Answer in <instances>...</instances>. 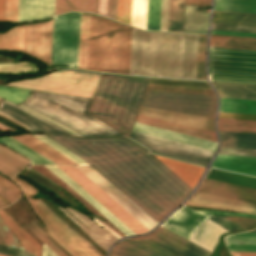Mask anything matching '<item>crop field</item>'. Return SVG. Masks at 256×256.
<instances>
[{
  "label": "crop field",
  "instance_id": "crop-field-44",
  "mask_svg": "<svg viewBox=\"0 0 256 256\" xmlns=\"http://www.w3.org/2000/svg\"><path fill=\"white\" fill-rule=\"evenodd\" d=\"M89 14L81 13L78 68L85 69Z\"/></svg>",
  "mask_w": 256,
  "mask_h": 256
},
{
  "label": "crop field",
  "instance_id": "crop-field-21",
  "mask_svg": "<svg viewBox=\"0 0 256 256\" xmlns=\"http://www.w3.org/2000/svg\"><path fill=\"white\" fill-rule=\"evenodd\" d=\"M66 208V207H65ZM68 209L75 217H77L81 222H83L87 227H89L92 231H90L87 227H85L82 223L72 217L70 214L65 212L63 209L59 208V210L66 215L71 221H73L77 226L83 229L104 251L114 243L116 239L114 236L109 234L107 231L102 229L100 226L95 224L93 221L88 219L86 216L70 209Z\"/></svg>",
  "mask_w": 256,
  "mask_h": 256
},
{
  "label": "crop field",
  "instance_id": "crop-field-71",
  "mask_svg": "<svg viewBox=\"0 0 256 256\" xmlns=\"http://www.w3.org/2000/svg\"><path fill=\"white\" fill-rule=\"evenodd\" d=\"M186 4L210 6V0H186Z\"/></svg>",
  "mask_w": 256,
  "mask_h": 256
},
{
  "label": "crop field",
  "instance_id": "crop-field-78",
  "mask_svg": "<svg viewBox=\"0 0 256 256\" xmlns=\"http://www.w3.org/2000/svg\"><path fill=\"white\" fill-rule=\"evenodd\" d=\"M250 231H255L256 232V229H253V230H250Z\"/></svg>",
  "mask_w": 256,
  "mask_h": 256
},
{
  "label": "crop field",
  "instance_id": "crop-field-34",
  "mask_svg": "<svg viewBox=\"0 0 256 256\" xmlns=\"http://www.w3.org/2000/svg\"><path fill=\"white\" fill-rule=\"evenodd\" d=\"M218 133L221 146L256 148V134Z\"/></svg>",
  "mask_w": 256,
  "mask_h": 256
},
{
  "label": "crop field",
  "instance_id": "crop-field-68",
  "mask_svg": "<svg viewBox=\"0 0 256 256\" xmlns=\"http://www.w3.org/2000/svg\"><path fill=\"white\" fill-rule=\"evenodd\" d=\"M210 34L256 37V34L254 33L229 32V31H217V30H211Z\"/></svg>",
  "mask_w": 256,
  "mask_h": 256
},
{
  "label": "crop field",
  "instance_id": "crop-field-77",
  "mask_svg": "<svg viewBox=\"0 0 256 256\" xmlns=\"http://www.w3.org/2000/svg\"><path fill=\"white\" fill-rule=\"evenodd\" d=\"M6 206V204H4L1 200H0V207H4Z\"/></svg>",
  "mask_w": 256,
  "mask_h": 256
},
{
  "label": "crop field",
  "instance_id": "crop-field-58",
  "mask_svg": "<svg viewBox=\"0 0 256 256\" xmlns=\"http://www.w3.org/2000/svg\"><path fill=\"white\" fill-rule=\"evenodd\" d=\"M211 29L242 31V32H255L256 33V26H243V25L212 23Z\"/></svg>",
  "mask_w": 256,
  "mask_h": 256
},
{
  "label": "crop field",
  "instance_id": "crop-field-47",
  "mask_svg": "<svg viewBox=\"0 0 256 256\" xmlns=\"http://www.w3.org/2000/svg\"><path fill=\"white\" fill-rule=\"evenodd\" d=\"M148 85L210 89L207 82L151 79Z\"/></svg>",
  "mask_w": 256,
  "mask_h": 256
},
{
  "label": "crop field",
  "instance_id": "crop-field-63",
  "mask_svg": "<svg viewBox=\"0 0 256 256\" xmlns=\"http://www.w3.org/2000/svg\"><path fill=\"white\" fill-rule=\"evenodd\" d=\"M225 217L242 228L251 227L256 224V219H247V218L229 217V216H225Z\"/></svg>",
  "mask_w": 256,
  "mask_h": 256
},
{
  "label": "crop field",
  "instance_id": "crop-field-67",
  "mask_svg": "<svg viewBox=\"0 0 256 256\" xmlns=\"http://www.w3.org/2000/svg\"><path fill=\"white\" fill-rule=\"evenodd\" d=\"M218 117L241 118V119H256V115L237 114V113H225V112H219Z\"/></svg>",
  "mask_w": 256,
  "mask_h": 256
},
{
  "label": "crop field",
  "instance_id": "crop-field-39",
  "mask_svg": "<svg viewBox=\"0 0 256 256\" xmlns=\"http://www.w3.org/2000/svg\"><path fill=\"white\" fill-rule=\"evenodd\" d=\"M96 0H56L55 15L70 10L90 11L95 13Z\"/></svg>",
  "mask_w": 256,
  "mask_h": 256
},
{
  "label": "crop field",
  "instance_id": "crop-field-74",
  "mask_svg": "<svg viewBox=\"0 0 256 256\" xmlns=\"http://www.w3.org/2000/svg\"><path fill=\"white\" fill-rule=\"evenodd\" d=\"M93 220L95 221V222H97L99 225H101L103 228H105L107 231H109L111 234H113L115 237H117L118 239L119 238H121V237H119L118 235H116L115 233H113L112 231H110L106 226H104L100 221H98V220H96V219H94L93 218Z\"/></svg>",
  "mask_w": 256,
  "mask_h": 256
},
{
  "label": "crop field",
  "instance_id": "crop-field-11",
  "mask_svg": "<svg viewBox=\"0 0 256 256\" xmlns=\"http://www.w3.org/2000/svg\"><path fill=\"white\" fill-rule=\"evenodd\" d=\"M127 240L146 248L160 256H210L211 252L187 241L185 238L163 228L144 237Z\"/></svg>",
  "mask_w": 256,
  "mask_h": 256
},
{
  "label": "crop field",
  "instance_id": "crop-field-31",
  "mask_svg": "<svg viewBox=\"0 0 256 256\" xmlns=\"http://www.w3.org/2000/svg\"><path fill=\"white\" fill-rule=\"evenodd\" d=\"M34 170L42 174L44 177L52 181L53 183L59 185L60 187L64 188L66 191H68L72 196H74L77 200H79L85 207L88 209L91 213L97 214L101 217H103L101 214H99L93 207H91L86 201H84L78 194H76L70 187H68L64 182H62L60 179H58L55 175H53L50 171H48L43 166H37L32 165L31 166ZM104 218V217H103ZM105 219V218H104ZM106 220V219H105ZM102 221V220H100ZM108 224H106L104 221H102L110 230L118 234L119 236H125L122 234L116 227H114L108 220H106Z\"/></svg>",
  "mask_w": 256,
  "mask_h": 256
},
{
  "label": "crop field",
  "instance_id": "crop-field-13",
  "mask_svg": "<svg viewBox=\"0 0 256 256\" xmlns=\"http://www.w3.org/2000/svg\"><path fill=\"white\" fill-rule=\"evenodd\" d=\"M136 234L149 231L74 166H57Z\"/></svg>",
  "mask_w": 256,
  "mask_h": 256
},
{
  "label": "crop field",
  "instance_id": "crop-field-64",
  "mask_svg": "<svg viewBox=\"0 0 256 256\" xmlns=\"http://www.w3.org/2000/svg\"><path fill=\"white\" fill-rule=\"evenodd\" d=\"M0 184L5 186L7 189H9L11 192H13L18 197L21 195L20 188L16 186L14 183H12L10 180L2 177L0 175Z\"/></svg>",
  "mask_w": 256,
  "mask_h": 256
},
{
  "label": "crop field",
  "instance_id": "crop-field-3",
  "mask_svg": "<svg viewBox=\"0 0 256 256\" xmlns=\"http://www.w3.org/2000/svg\"><path fill=\"white\" fill-rule=\"evenodd\" d=\"M148 80L103 74L89 113L127 136Z\"/></svg>",
  "mask_w": 256,
  "mask_h": 256
},
{
  "label": "crop field",
  "instance_id": "crop-field-25",
  "mask_svg": "<svg viewBox=\"0 0 256 256\" xmlns=\"http://www.w3.org/2000/svg\"><path fill=\"white\" fill-rule=\"evenodd\" d=\"M135 121L160 127V128H164V129H168V130H172V131H176V132H180V133H184V134H188V135H192V136H196V137H200V138H204V139H208V140H212V141H216L215 134L212 132H208V131H204V130H200V129H196V128H192V127H188V126H184V125H180V124H176V123H172V122H168V121H164V120H160V119H156V118H152V117H148L140 114L137 115V118Z\"/></svg>",
  "mask_w": 256,
  "mask_h": 256
},
{
  "label": "crop field",
  "instance_id": "crop-field-29",
  "mask_svg": "<svg viewBox=\"0 0 256 256\" xmlns=\"http://www.w3.org/2000/svg\"><path fill=\"white\" fill-rule=\"evenodd\" d=\"M219 97L256 100V86L211 82Z\"/></svg>",
  "mask_w": 256,
  "mask_h": 256
},
{
  "label": "crop field",
  "instance_id": "crop-field-79",
  "mask_svg": "<svg viewBox=\"0 0 256 256\" xmlns=\"http://www.w3.org/2000/svg\"><path fill=\"white\" fill-rule=\"evenodd\" d=\"M0 256H4V255H1V254H0Z\"/></svg>",
  "mask_w": 256,
  "mask_h": 256
},
{
  "label": "crop field",
  "instance_id": "crop-field-73",
  "mask_svg": "<svg viewBox=\"0 0 256 256\" xmlns=\"http://www.w3.org/2000/svg\"><path fill=\"white\" fill-rule=\"evenodd\" d=\"M234 256H256V253L232 252Z\"/></svg>",
  "mask_w": 256,
  "mask_h": 256
},
{
  "label": "crop field",
  "instance_id": "crop-field-33",
  "mask_svg": "<svg viewBox=\"0 0 256 256\" xmlns=\"http://www.w3.org/2000/svg\"><path fill=\"white\" fill-rule=\"evenodd\" d=\"M209 46L256 49V39L210 35Z\"/></svg>",
  "mask_w": 256,
  "mask_h": 256
},
{
  "label": "crop field",
  "instance_id": "crop-field-23",
  "mask_svg": "<svg viewBox=\"0 0 256 256\" xmlns=\"http://www.w3.org/2000/svg\"><path fill=\"white\" fill-rule=\"evenodd\" d=\"M55 0H19L18 21L54 15Z\"/></svg>",
  "mask_w": 256,
  "mask_h": 256
},
{
  "label": "crop field",
  "instance_id": "crop-field-70",
  "mask_svg": "<svg viewBox=\"0 0 256 256\" xmlns=\"http://www.w3.org/2000/svg\"><path fill=\"white\" fill-rule=\"evenodd\" d=\"M19 105L22 106V107H24V106L21 105V104H19ZM24 108H26V107H24ZM26 109L29 110V111H31V110L28 109V108H26ZM31 112H33V111H31ZM33 113H35V112H33ZM35 114H37L38 116H40V117L46 119L47 121H49V122H51V123L57 125L58 127L64 129L65 131L69 132L71 135L81 136V135L77 134L76 132L72 131L71 129H69V128H67V127H65V126H63V125H61V124H59V123H57V122H55V121H53V120L47 118V117H44V116H42V115H40V114H38V113H35Z\"/></svg>",
  "mask_w": 256,
  "mask_h": 256
},
{
  "label": "crop field",
  "instance_id": "crop-field-35",
  "mask_svg": "<svg viewBox=\"0 0 256 256\" xmlns=\"http://www.w3.org/2000/svg\"><path fill=\"white\" fill-rule=\"evenodd\" d=\"M212 22L256 25V14L213 11Z\"/></svg>",
  "mask_w": 256,
  "mask_h": 256
},
{
  "label": "crop field",
  "instance_id": "crop-field-57",
  "mask_svg": "<svg viewBox=\"0 0 256 256\" xmlns=\"http://www.w3.org/2000/svg\"><path fill=\"white\" fill-rule=\"evenodd\" d=\"M33 233H35L51 250H53L58 256H67L61 251L52 241H50L44 234L37 229L32 223L26 225ZM34 234V235H35ZM35 235V236H36Z\"/></svg>",
  "mask_w": 256,
  "mask_h": 256
},
{
  "label": "crop field",
  "instance_id": "crop-field-18",
  "mask_svg": "<svg viewBox=\"0 0 256 256\" xmlns=\"http://www.w3.org/2000/svg\"><path fill=\"white\" fill-rule=\"evenodd\" d=\"M138 113L214 132V118L211 117L177 113L144 107H141Z\"/></svg>",
  "mask_w": 256,
  "mask_h": 256
},
{
  "label": "crop field",
  "instance_id": "crop-field-7",
  "mask_svg": "<svg viewBox=\"0 0 256 256\" xmlns=\"http://www.w3.org/2000/svg\"><path fill=\"white\" fill-rule=\"evenodd\" d=\"M51 29L52 20L14 27L0 34V49L24 52L51 66Z\"/></svg>",
  "mask_w": 256,
  "mask_h": 256
},
{
  "label": "crop field",
  "instance_id": "crop-field-4",
  "mask_svg": "<svg viewBox=\"0 0 256 256\" xmlns=\"http://www.w3.org/2000/svg\"><path fill=\"white\" fill-rule=\"evenodd\" d=\"M131 28L91 15L86 69L128 74Z\"/></svg>",
  "mask_w": 256,
  "mask_h": 256
},
{
  "label": "crop field",
  "instance_id": "crop-field-17",
  "mask_svg": "<svg viewBox=\"0 0 256 256\" xmlns=\"http://www.w3.org/2000/svg\"><path fill=\"white\" fill-rule=\"evenodd\" d=\"M185 204L256 214V205L194 192Z\"/></svg>",
  "mask_w": 256,
  "mask_h": 256
},
{
  "label": "crop field",
  "instance_id": "crop-field-49",
  "mask_svg": "<svg viewBox=\"0 0 256 256\" xmlns=\"http://www.w3.org/2000/svg\"><path fill=\"white\" fill-rule=\"evenodd\" d=\"M30 90L8 88L0 86V97L15 104L28 98Z\"/></svg>",
  "mask_w": 256,
  "mask_h": 256
},
{
  "label": "crop field",
  "instance_id": "crop-field-53",
  "mask_svg": "<svg viewBox=\"0 0 256 256\" xmlns=\"http://www.w3.org/2000/svg\"><path fill=\"white\" fill-rule=\"evenodd\" d=\"M33 136H35L38 139H40L41 141L45 142L46 144H48L52 148L56 149L57 151H59L63 155H65L68 158H70L71 160L75 161L76 163L88 165L87 163H85L80 158H78L77 156H75L74 154H72L71 152H69L68 150L63 148L62 146H60L58 143H56L55 141H53L49 137H46V136H43V135H33Z\"/></svg>",
  "mask_w": 256,
  "mask_h": 256
},
{
  "label": "crop field",
  "instance_id": "crop-field-8",
  "mask_svg": "<svg viewBox=\"0 0 256 256\" xmlns=\"http://www.w3.org/2000/svg\"><path fill=\"white\" fill-rule=\"evenodd\" d=\"M80 13L54 17L52 64L77 68Z\"/></svg>",
  "mask_w": 256,
  "mask_h": 256
},
{
  "label": "crop field",
  "instance_id": "crop-field-54",
  "mask_svg": "<svg viewBox=\"0 0 256 256\" xmlns=\"http://www.w3.org/2000/svg\"><path fill=\"white\" fill-rule=\"evenodd\" d=\"M226 243H238V244H256L255 232H243L231 236H227Z\"/></svg>",
  "mask_w": 256,
  "mask_h": 256
},
{
  "label": "crop field",
  "instance_id": "crop-field-28",
  "mask_svg": "<svg viewBox=\"0 0 256 256\" xmlns=\"http://www.w3.org/2000/svg\"><path fill=\"white\" fill-rule=\"evenodd\" d=\"M28 160L0 145V174L9 179L27 167Z\"/></svg>",
  "mask_w": 256,
  "mask_h": 256
},
{
  "label": "crop field",
  "instance_id": "crop-field-16",
  "mask_svg": "<svg viewBox=\"0 0 256 256\" xmlns=\"http://www.w3.org/2000/svg\"><path fill=\"white\" fill-rule=\"evenodd\" d=\"M196 191L256 204V189L248 187L203 178Z\"/></svg>",
  "mask_w": 256,
  "mask_h": 256
},
{
  "label": "crop field",
  "instance_id": "crop-field-41",
  "mask_svg": "<svg viewBox=\"0 0 256 256\" xmlns=\"http://www.w3.org/2000/svg\"><path fill=\"white\" fill-rule=\"evenodd\" d=\"M0 143H3L16 151L20 152L24 156L28 157L31 161V163L34 164H55L51 162L50 160L44 158L43 156L37 154L36 152L30 150L29 148L23 146L22 144L16 142L15 140L9 138V137H2L0 138Z\"/></svg>",
  "mask_w": 256,
  "mask_h": 256
},
{
  "label": "crop field",
  "instance_id": "crop-field-46",
  "mask_svg": "<svg viewBox=\"0 0 256 256\" xmlns=\"http://www.w3.org/2000/svg\"><path fill=\"white\" fill-rule=\"evenodd\" d=\"M160 1L161 0H148L146 22L147 30H159Z\"/></svg>",
  "mask_w": 256,
  "mask_h": 256
},
{
  "label": "crop field",
  "instance_id": "crop-field-9",
  "mask_svg": "<svg viewBox=\"0 0 256 256\" xmlns=\"http://www.w3.org/2000/svg\"><path fill=\"white\" fill-rule=\"evenodd\" d=\"M208 74L256 78V50L209 47Z\"/></svg>",
  "mask_w": 256,
  "mask_h": 256
},
{
  "label": "crop field",
  "instance_id": "crop-field-1",
  "mask_svg": "<svg viewBox=\"0 0 256 256\" xmlns=\"http://www.w3.org/2000/svg\"><path fill=\"white\" fill-rule=\"evenodd\" d=\"M47 135L94 167L158 222L192 190L147 150L127 139Z\"/></svg>",
  "mask_w": 256,
  "mask_h": 256
},
{
  "label": "crop field",
  "instance_id": "crop-field-6",
  "mask_svg": "<svg viewBox=\"0 0 256 256\" xmlns=\"http://www.w3.org/2000/svg\"><path fill=\"white\" fill-rule=\"evenodd\" d=\"M100 75L87 71L60 69L37 79L21 80L6 85L92 98Z\"/></svg>",
  "mask_w": 256,
  "mask_h": 256
},
{
  "label": "crop field",
  "instance_id": "crop-field-50",
  "mask_svg": "<svg viewBox=\"0 0 256 256\" xmlns=\"http://www.w3.org/2000/svg\"><path fill=\"white\" fill-rule=\"evenodd\" d=\"M18 0H0V20L17 21Z\"/></svg>",
  "mask_w": 256,
  "mask_h": 256
},
{
  "label": "crop field",
  "instance_id": "crop-field-75",
  "mask_svg": "<svg viewBox=\"0 0 256 256\" xmlns=\"http://www.w3.org/2000/svg\"><path fill=\"white\" fill-rule=\"evenodd\" d=\"M207 30L184 29V32L206 33Z\"/></svg>",
  "mask_w": 256,
  "mask_h": 256
},
{
  "label": "crop field",
  "instance_id": "crop-field-38",
  "mask_svg": "<svg viewBox=\"0 0 256 256\" xmlns=\"http://www.w3.org/2000/svg\"><path fill=\"white\" fill-rule=\"evenodd\" d=\"M219 111L256 114V101L220 98Z\"/></svg>",
  "mask_w": 256,
  "mask_h": 256
},
{
  "label": "crop field",
  "instance_id": "crop-field-19",
  "mask_svg": "<svg viewBox=\"0 0 256 256\" xmlns=\"http://www.w3.org/2000/svg\"><path fill=\"white\" fill-rule=\"evenodd\" d=\"M55 174L58 178L64 181L68 186H70L76 193H78L84 200H86L91 206H93L99 213H101L106 219H108L114 226H116L122 233L126 236L134 235L127 226H125L121 221H119L114 215H112L107 209H105L100 203H98L94 198H92L87 192H85L80 186H78L73 180H71L67 175H65L56 166H44Z\"/></svg>",
  "mask_w": 256,
  "mask_h": 256
},
{
  "label": "crop field",
  "instance_id": "crop-field-69",
  "mask_svg": "<svg viewBox=\"0 0 256 256\" xmlns=\"http://www.w3.org/2000/svg\"><path fill=\"white\" fill-rule=\"evenodd\" d=\"M0 195L10 203L18 198L17 196H15L13 193H11L9 190H7L5 187L1 185H0Z\"/></svg>",
  "mask_w": 256,
  "mask_h": 256
},
{
  "label": "crop field",
  "instance_id": "crop-field-36",
  "mask_svg": "<svg viewBox=\"0 0 256 256\" xmlns=\"http://www.w3.org/2000/svg\"><path fill=\"white\" fill-rule=\"evenodd\" d=\"M213 10L256 13V0H215Z\"/></svg>",
  "mask_w": 256,
  "mask_h": 256
},
{
  "label": "crop field",
  "instance_id": "crop-field-48",
  "mask_svg": "<svg viewBox=\"0 0 256 256\" xmlns=\"http://www.w3.org/2000/svg\"><path fill=\"white\" fill-rule=\"evenodd\" d=\"M205 41L206 35H198L195 79H206L204 76Z\"/></svg>",
  "mask_w": 256,
  "mask_h": 256
},
{
  "label": "crop field",
  "instance_id": "crop-field-45",
  "mask_svg": "<svg viewBox=\"0 0 256 256\" xmlns=\"http://www.w3.org/2000/svg\"><path fill=\"white\" fill-rule=\"evenodd\" d=\"M147 0H132L131 25L145 29Z\"/></svg>",
  "mask_w": 256,
  "mask_h": 256
},
{
  "label": "crop field",
  "instance_id": "crop-field-43",
  "mask_svg": "<svg viewBox=\"0 0 256 256\" xmlns=\"http://www.w3.org/2000/svg\"><path fill=\"white\" fill-rule=\"evenodd\" d=\"M184 0H170L168 31H182Z\"/></svg>",
  "mask_w": 256,
  "mask_h": 256
},
{
  "label": "crop field",
  "instance_id": "crop-field-59",
  "mask_svg": "<svg viewBox=\"0 0 256 256\" xmlns=\"http://www.w3.org/2000/svg\"><path fill=\"white\" fill-rule=\"evenodd\" d=\"M210 81L256 84V79L208 75Z\"/></svg>",
  "mask_w": 256,
  "mask_h": 256
},
{
  "label": "crop field",
  "instance_id": "crop-field-61",
  "mask_svg": "<svg viewBox=\"0 0 256 256\" xmlns=\"http://www.w3.org/2000/svg\"><path fill=\"white\" fill-rule=\"evenodd\" d=\"M209 219L228 231L240 229V227L228 221L224 216H211Z\"/></svg>",
  "mask_w": 256,
  "mask_h": 256
},
{
  "label": "crop field",
  "instance_id": "crop-field-52",
  "mask_svg": "<svg viewBox=\"0 0 256 256\" xmlns=\"http://www.w3.org/2000/svg\"><path fill=\"white\" fill-rule=\"evenodd\" d=\"M131 0H117L116 20L130 25Z\"/></svg>",
  "mask_w": 256,
  "mask_h": 256
},
{
  "label": "crop field",
  "instance_id": "crop-field-72",
  "mask_svg": "<svg viewBox=\"0 0 256 256\" xmlns=\"http://www.w3.org/2000/svg\"><path fill=\"white\" fill-rule=\"evenodd\" d=\"M42 256H57V255L54 252H52L45 244H43Z\"/></svg>",
  "mask_w": 256,
  "mask_h": 256
},
{
  "label": "crop field",
  "instance_id": "crop-field-30",
  "mask_svg": "<svg viewBox=\"0 0 256 256\" xmlns=\"http://www.w3.org/2000/svg\"><path fill=\"white\" fill-rule=\"evenodd\" d=\"M0 217L24 247V249L35 256H39L40 245L24 231L5 211L0 210Z\"/></svg>",
  "mask_w": 256,
  "mask_h": 256
},
{
  "label": "crop field",
  "instance_id": "crop-field-12",
  "mask_svg": "<svg viewBox=\"0 0 256 256\" xmlns=\"http://www.w3.org/2000/svg\"><path fill=\"white\" fill-rule=\"evenodd\" d=\"M129 137L139 142L140 144L144 145L145 147L149 148L150 151L154 153L205 165V166H207L210 158L214 154L213 151H209V150H205V149L133 132V131L131 132Z\"/></svg>",
  "mask_w": 256,
  "mask_h": 256
},
{
  "label": "crop field",
  "instance_id": "crop-field-55",
  "mask_svg": "<svg viewBox=\"0 0 256 256\" xmlns=\"http://www.w3.org/2000/svg\"><path fill=\"white\" fill-rule=\"evenodd\" d=\"M0 235L3 238L6 246L23 249V247L20 245L17 239L13 236V234L10 232V230L7 228V226L2 221L1 218H0Z\"/></svg>",
  "mask_w": 256,
  "mask_h": 256
},
{
  "label": "crop field",
  "instance_id": "crop-field-26",
  "mask_svg": "<svg viewBox=\"0 0 256 256\" xmlns=\"http://www.w3.org/2000/svg\"><path fill=\"white\" fill-rule=\"evenodd\" d=\"M57 164H76L30 134L9 136Z\"/></svg>",
  "mask_w": 256,
  "mask_h": 256
},
{
  "label": "crop field",
  "instance_id": "crop-field-22",
  "mask_svg": "<svg viewBox=\"0 0 256 256\" xmlns=\"http://www.w3.org/2000/svg\"><path fill=\"white\" fill-rule=\"evenodd\" d=\"M211 166L256 176V157L217 154Z\"/></svg>",
  "mask_w": 256,
  "mask_h": 256
},
{
  "label": "crop field",
  "instance_id": "crop-field-65",
  "mask_svg": "<svg viewBox=\"0 0 256 256\" xmlns=\"http://www.w3.org/2000/svg\"><path fill=\"white\" fill-rule=\"evenodd\" d=\"M230 251L256 252V245L227 244Z\"/></svg>",
  "mask_w": 256,
  "mask_h": 256
},
{
  "label": "crop field",
  "instance_id": "crop-field-10",
  "mask_svg": "<svg viewBox=\"0 0 256 256\" xmlns=\"http://www.w3.org/2000/svg\"><path fill=\"white\" fill-rule=\"evenodd\" d=\"M215 103L214 96L146 92L141 106L214 117Z\"/></svg>",
  "mask_w": 256,
  "mask_h": 256
},
{
  "label": "crop field",
  "instance_id": "crop-field-60",
  "mask_svg": "<svg viewBox=\"0 0 256 256\" xmlns=\"http://www.w3.org/2000/svg\"><path fill=\"white\" fill-rule=\"evenodd\" d=\"M219 153L256 156V149H242V148L221 147Z\"/></svg>",
  "mask_w": 256,
  "mask_h": 256
},
{
  "label": "crop field",
  "instance_id": "crop-field-27",
  "mask_svg": "<svg viewBox=\"0 0 256 256\" xmlns=\"http://www.w3.org/2000/svg\"><path fill=\"white\" fill-rule=\"evenodd\" d=\"M222 232L226 230L207 220L192 234L191 242L212 252Z\"/></svg>",
  "mask_w": 256,
  "mask_h": 256
},
{
  "label": "crop field",
  "instance_id": "crop-field-14",
  "mask_svg": "<svg viewBox=\"0 0 256 256\" xmlns=\"http://www.w3.org/2000/svg\"><path fill=\"white\" fill-rule=\"evenodd\" d=\"M211 215H229L256 218L254 215L243 213H231L220 211H193L185 206L180 207L172 215H170L163 223L162 226L186 237L188 240L191 234Z\"/></svg>",
  "mask_w": 256,
  "mask_h": 256
},
{
  "label": "crop field",
  "instance_id": "crop-field-20",
  "mask_svg": "<svg viewBox=\"0 0 256 256\" xmlns=\"http://www.w3.org/2000/svg\"><path fill=\"white\" fill-rule=\"evenodd\" d=\"M132 130L150 134V135H154V136H158V137H162V138H166V139H170V140H174V141H178V142H182V143H186V144H190V145H194V146H198V147H202V148H206V149H210V150H214V151L217 146L216 142H212V141H208V140H204V139H200V138H196V137H192V136H188V135H184V134H180V133H176V132L140 124V123H136V122L134 123Z\"/></svg>",
  "mask_w": 256,
  "mask_h": 256
},
{
  "label": "crop field",
  "instance_id": "crop-field-42",
  "mask_svg": "<svg viewBox=\"0 0 256 256\" xmlns=\"http://www.w3.org/2000/svg\"><path fill=\"white\" fill-rule=\"evenodd\" d=\"M109 256H157L126 240L113 246Z\"/></svg>",
  "mask_w": 256,
  "mask_h": 256
},
{
  "label": "crop field",
  "instance_id": "crop-field-2",
  "mask_svg": "<svg viewBox=\"0 0 256 256\" xmlns=\"http://www.w3.org/2000/svg\"><path fill=\"white\" fill-rule=\"evenodd\" d=\"M161 33L132 28L129 74L158 77ZM197 35L162 33L159 77L194 79Z\"/></svg>",
  "mask_w": 256,
  "mask_h": 256
},
{
  "label": "crop field",
  "instance_id": "crop-field-76",
  "mask_svg": "<svg viewBox=\"0 0 256 256\" xmlns=\"http://www.w3.org/2000/svg\"><path fill=\"white\" fill-rule=\"evenodd\" d=\"M2 99H0V101H1ZM1 115V114H0ZM1 116H3V117H5V118H7V119H9V120H11V121H13V122H15V123H17V124H19V125H21L20 123H18V122H16V121H14V120H12V119H10V118H8V117H6V116H4V115H1ZM21 126H23V125H21ZM27 131H30V130H28L25 126H23Z\"/></svg>",
  "mask_w": 256,
  "mask_h": 256
},
{
  "label": "crop field",
  "instance_id": "crop-field-51",
  "mask_svg": "<svg viewBox=\"0 0 256 256\" xmlns=\"http://www.w3.org/2000/svg\"><path fill=\"white\" fill-rule=\"evenodd\" d=\"M146 91L214 95L212 90L148 86Z\"/></svg>",
  "mask_w": 256,
  "mask_h": 256
},
{
  "label": "crop field",
  "instance_id": "crop-field-62",
  "mask_svg": "<svg viewBox=\"0 0 256 256\" xmlns=\"http://www.w3.org/2000/svg\"><path fill=\"white\" fill-rule=\"evenodd\" d=\"M168 2L169 0L161 1V21H160V30L167 31V22H168Z\"/></svg>",
  "mask_w": 256,
  "mask_h": 256
},
{
  "label": "crop field",
  "instance_id": "crop-field-5",
  "mask_svg": "<svg viewBox=\"0 0 256 256\" xmlns=\"http://www.w3.org/2000/svg\"><path fill=\"white\" fill-rule=\"evenodd\" d=\"M13 181L22 188L26 199L34 208L36 214L40 217L45 226L50 229L51 232L46 229V233L65 250L73 256H103L80 234L75 232L52 212L41 200L31 199L30 196L37 192L34 187L17 177H15Z\"/></svg>",
  "mask_w": 256,
  "mask_h": 256
},
{
  "label": "crop field",
  "instance_id": "crop-field-66",
  "mask_svg": "<svg viewBox=\"0 0 256 256\" xmlns=\"http://www.w3.org/2000/svg\"><path fill=\"white\" fill-rule=\"evenodd\" d=\"M0 252H4V253L11 254L14 256H33L32 254H30L26 251L9 248V247H4V246H0Z\"/></svg>",
  "mask_w": 256,
  "mask_h": 256
},
{
  "label": "crop field",
  "instance_id": "crop-field-32",
  "mask_svg": "<svg viewBox=\"0 0 256 256\" xmlns=\"http://www.w3.org/2000/svg\"><path fill=\"white\" fill-rule=\"evenodd\" d=\"M218 131L256 133V120L217 119Z\"/></svg>",
  "mask_w": 256,
  "mask_h": 256
},
{
  "label": "crop field",
  "instance_id": "crop-field-15",
  "mask_svg": "<svg viewBox=\"0 0 256 256\" xmlns=\"http://www.w3.org/2000/svg\"><path fill=\"white\" fill-rule=\"evenodd\" d=\"M75 167L78 168L83 174H85L90 180H92L110 197H112L117 203H119L124 209H126L145 227H147L149 230L154 228L156 224L152 219H150L145 213H143L138 207H136L131 201H129L124 195H122L116 188H114L95 170H93L91 167Z\"/></svg>",
  "mask_w": 256,
  "mask_h": 256
},
{
  "label": "crop field",
  "instance_id": "crop-field-56",
  "mask_svg": "<svg viewBox=\"0 0 256 256\" xmlns=\"http://www.w3.org/2000/svg\"><path fill=\"white\" fill-rule=\"evenodd\" d=\"M116 0H107V14L115 17ZM97 14L114 19L106 15V0H98Z\"/></svg>",
  "mask_w": 256,
  "mask_h": 256
},
{
  "label": "crop field",
  "instance_id": "crop-field-24",
  "mask_svg": "<svg viewBox=\"0 0 256 256\" xmlns=\"http://www.w3.org/2000/svg\"><path fill=\"white\" fill-rule=\"evenodd\" d=\"M163 164H165L171 171H173L179 178H181L187 185H189L192 189L196 185L199 180L204 167L196 166L193 164L157 156ZM156 158V159H157Z\"/></svg>",
  "mask_w": 256,
  "mask_h": 256
},
{
  "label": "crop field",
  "instance_id": "crop-field-37",
  "mask_svg": "<svg viewBox=\"0 0 256 256\" xmlns=\"http://www.w3.org/2000/svg\"><path fill=\"white\" fill-rule=\"evenodd\" d=\"M206 178L256 188V179L209 168Z\"/></svg>",
  "mask_w": 256,
  "mask_h": 256
},
{
  "label": "crop field",
  "instance_id": "crop-field-40",
  "mask_svg": "<svg viewBox=\"0 0 256 256\" xmlns=\"http://www.w3.org/2000/svg\"><path fill=\"white\" fill-rule=\"evenodd\" d=\"M209 13L197 12V6L185 5L184 28L207 29Z\"/></svg>",
  "mask_w": 256,
  "mask_h": 256
}]
</instances>
